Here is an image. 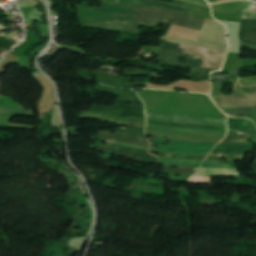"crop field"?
Listing matches in <instances>:
<instances>
[{
	"label": "crop field",
	"mask_w": 256,
	"mask_h": 256,
	"mask_svg": "<svg viewBox=\"0 0 256 256\" xmlns=\"http://www.w3.org/2000/svg\"><path fill=\"white\" fill-rule=\"evenodd\" d=\"M166 168H170V171H167ZM199 168H189V167H178V169H172V166L165 165V170L167 172H181V173H188V174H194L198 171Z\"/></svg>",
	"instance_id": "obj_17"
},
{
	"label": "crop field",
	"mask_w": 256,
	"mask_h": 256,
	"mask_svg": "<svg viewBox=\"0 0 256 256\" xmlns=\"http://www.w3.org/2000/svg\"><path fill=\"white\" fill-rule=\"evenodd\" d=\"M211 97L219 108L256 107V77L238 79L232 96Z\"/></svg>",
	"instance_id": "obj_3"
},
{
	"label": "crop field",
	"mask_w": 256,
	"mask_h": 256,
	"mask_svg": "<svg viewBox=\"0 0 256 256\" xmlns=\"http://www.w3.org/2000/svg\"><path fill=\"white\" fill-rule=\"evenodd\" d=\"M179 1H185V2H190V3L202 5V6H205V7H209L208 3L205 0H179Z\"/></svg>",
	"instance_id": "obj_20"
},
{
	"label": "crop field",
	"mask_w": 256,
	"mask_h": 256,
	"mask_svg": "<svg viewBox=\"0 0 256 256\" xmlns=\"http://www.w3.org/2000/svg\"><path fill=\"white\" fill-rule=\"evenodd\" d=\"M228 134H256V128L249 119H228Z\"/></svg>",
	"instance_id": "obj_7"
},
{
	"label": "crop field",
	"mask_w": 256,
	"mask_h": 256,
	"mask_svg": "<svg viewBox=\"0 0 256 256\" xmlns=\"http://www.w3.org/2000/svg\"><path fill=\"white\" fill-rule=\"evenodd\" d=\"M96 147H97L98 151L110 152L113 154L129 156V157L138 158V159H142V160H148V161H154V162L158 161V159L153 156L138 153V152H132V151H126V150H120V149H114V148H107V147H100V146H96Z\"/></svg>",
	"instance_id": "obj_12"
},
{
	"label": "crop field",
	"mask_w": 256,
	"mask_h": 256,
	"mask_svg": "<svg viewBox=\"0 0 256 256\" xmlns=\"http://www.w3.org/2000/svg\"><path fill=\"white\" fill-rule=\"evenodd\" d=\"M0 114H19L33 116L34 112L24 110L12 98L0 96Z\"/></svg>",
	"instance_id": "obj_9"
},
{
	"label": "crop field",
	"mask_w": 256,
	"mask_h": 256,
	"mask_svg": "<svg viewBox=\"0 0 256 256\" xmlns=\"http://www.w3.org/2000/svg\"><path fill=\"white\" fill-rule=\"evenodd\" d=\"M155 141L165 142L171 141V145L159 146V148L174 149L180 151H192V152H211L213 147L217 143H194V142H183V141H172L160 138H154Z\"/></svg>",
	"instance_id": "obj_6"
},
{
	"label": "crop field",
	"mask_w": 256,
	"mask_h": 256,
	"mask_svg": "<svg viewBox=\"0 0 256 256\" xmlns=\"http://www.w3.org/2000/svg\"><path fill=\"white\" fill-rule=\"evenodd\" d=\"M175 46L186 55L202 60V67L222 68L226 52L178 44ZM175 46L162 44L157 61L172 66L201 67L200 60L186 56ZM179 58H185L187 62L180 63Z\"/></svg>",
	"instance_id": "obj_2"
},
{
	"label": "crop field",
	"mask_w": 256,
	"mask_h": 256,
	"mask_svg": "<svg viewBox=\"0 0 256 256\" xmlns=\"http://www.w3.org/2000/svg\"><path fill=\"white\" fill-rule=\"evenodd\" d=\"M224 113L232 117H249L253 116L252 108H231L221 109Z\"/></svg>",
	"instance_id": "obj_15"
},
{
	"label": "crop field",
	"mask_w": 256,
	"mask_h": 256,
	"mask_svg": "<svg viewBox=\"0 0 256 256\" xmlns=\"http://www.w3.org/2000/svg\"><path fill=\"white\" fill-rule=\"evenodd\" d=\"M209 156H239V157H244V154L211 153Z\"/></svg>",
	"instance_id": "obj_21"
},
{
	"label": "crop field",
	"mask_w": 256,
	"mask_h": 256,
	"mask_svg": "<svg viewBox=\"0 0 256 256\" xmlns=\"http://www.w3.org/2000/svg\"><path fill=\"white\" fill-rule=\"evenodd\" d=\"M251 145H223L219 144L218 148L220 152H240L246 153Z\"/></svg>",
	"instance_id": "obj_16"
},
{
	"label": "crop field",
	"mask_w": 256,
	"mask_h": 256,
	"mask_svg": "<svg viewBox=\"0 0 256 256\" xmlns=\"http://www.w3.org/2000/svg\"><path fill=\"white\" fill-rule=\"evenodd\" d=\"M255 170H256V165H255Z\"/></svg>",
	"instance_id": "obj_24"
},
{
	"label": "crop field",
	"mask_w": 256,
	"mask_h": 256,
	"mask_svg": "<svg viewBox=\"0 0 256 256\" xmlns=\"http://www.w3.org/2000/svg\"><path fill=\"white\" fill-rule=\"evenodd\" d=\"M178 158H187V159H201L204 160L205 157H195V156H185V155H176Z\"/></svg>",
	"instance_id": "obj_22"
},
{
	"label": "crop field",
	"mask_w": 256,
	"mask_h": 256,
	"mask_svg": "<svg viewBox=\"0 0 256 256\" xmlns=\"http://www.w3.org/2000/svg\"><path fill=\"white\" fill-rule=\"evenodd\" d=\"M256 1V0H255Z\"/></svg>",
	"instance_id": "obj_25"
},
{
	"label": "crop field",
	"mask_w": 256,
	"mask_h": 256,
	"mask_svg": "<svg viewBox=\"0 0 256 256\" xmlns=\"http://www.w3.org/2000/svg\"><path fill=\"white\" fill-rule=\"evenodd\" d=\"M99 135L101 138H105V139L119 140V141L146 145V146L149 145L146 137H142L138 135H130V134H122V133H117L115 135L99 133Z\"/></svg>",
	"instance_id": "obj_11"
},
{
	"label": "crop field",
	"mask_w": 256,
	"mask_h": 256,
	"mask_svg": "<svg viewBox=\"0 0 256 256\" xmlns=\"http://www.w3.org/2000/svg\"><path fill=\"white\" fill-rule=\"evenodd\" d=\"M147 119L162 120L166 122L214 124L226 126L227 118H212L202 116L177 115L158 112H146Z\"/></svg>",
	"instance_id": "obj_4"
},
{
	"label": "crop field",
	"mask_w": 256,
	"mask_h": 256,
	"mask_svg": "<svg viewBox=\"0 0 256 256\" xmlns=\"http://www.w3.org/2000/svg\"><path fill=\"white\" fill-rule=\"evenodd\" d=\"M147 123L157 124V125H164V126H170V127L191 128V129L226 130V127H222V126L182 125V124H178V123H166V122L153 121V120H147Z\"/></svg>",
	"instance_id": "obj_13"
},
{
	"label": "crop field",
	"mask_w": 256,
	"mask_h": 256,
	"mask_svg": "<svg viewBox=\"0 0 256 256\" xmlns=\"http://www.w3.org/2000/svg\"><path fill=\"white\" fill-rule=\"evenodd\" d=\"M148 136H156L165 139L194 141V142H219L225 135H208V134H185L177 132H168L161 130L147 129Z\"/></svg>",
	"instance_id": "obj_5"
},
{
	"label": "crop field",
	"mask_w": 256,
	"mask_h": 256,
	"mask_svg": "<svg viewBox=\"0 0 256 256\" xmlns=\"http://www.w3.org/2000/svg\"><path fill=\"white\" fill-rule=\"evenodd\" d=\"M206 160H219L218 157H207Z\"/></svg>",
	"instance_id": "obj_23"
},
{
	"label": "crop field",
	"mask_w": 256,
	"mask_h": 256,
	"mask_svg": "<svg viewBox=\"0 0 256 256\" xmlns=\"http://www.w3.org/2000/svg\"><path fill=\"white\" fill-rule=\"evenodd\" d=\"M246 137L251 138L256 143V135H227L221 142L224 144H250Z\"/></svg>",
	"instance_id": "obj_14"
},
{
	"label": "crop field",
	"mask_w": 256,
	"mask_h": 256,
	"mask_svg": "<svg viewBox=\"0 0 256 256\" xmlns=\"http://www.w3.org/2000/svg\"><path fill=\"white\" fill-rule=\"evenodd\" d=\"M99 145H101V146H107V147H114V148L127 149V150H133V151H139V152H144V153L150 154L149 152H146V151H142V150H138V149H133V148H128V147H123V146H116V145H109V144H102V143H99Z\"/></svg>",
	"instance_id": "obj_19"
},
{
	"label": "crop field",
	"mask_w": 256,
	"mask_h": 256,
	"mask_svg": "<svg viewBox=\"0 0 256 256\" xmlns=\"http://www.w3.org/2000/svg\"><path fill=\"white\" fill-rule=\"evenodd\" d=\"M83 115H96V116H100V117H105V118H111V119H118V120H125V121H134V122H141L143 120H139V119H127V118H118V117H112V116H108L105 115L103 113H96V112H83Z\"/></svg>",
	"instance_id": "obj_18"
},
{
	"label": "crop field",
	"mask_w": 256,
	"mask_h": 256,
	"mask_svg": "<svg viewBox=\"0 0 256 256\" xmlns=\"http://www.w3.org/2000/svg\"><path fill=\"white\" fill-rule=\"evenodd\" d=\"M118 2L123 4H128V5H135V6L163 8V9L177 11L185 14H187L190 9L184 6H179L175 4H169V3L154 2L150 0H118Z\"/></svg>",
	"instance_id": "obj_8"
},
{
	"label": "crop field",
	"mask_w": 256,
	"mask_h": 256,
	"mask_svg": "<svg viewBox=\"0 0 256 256\" xmlns=\"http://www.w3.org/2000/svg\"><path fill=\"white\" fill-rule=\"evenodd\" d=\"M83 26L123 21L136 23L137 7L103 3V9L78 5ZM205 19L168 10L138 7L137 23L158 25L169 23L202 28Z\"/></svg>",
	"instance_id": "obj_1"
},
{
	"label": "crop field",
	"mask_w": 256,
	"mask_h": 256,
	"mask_svg": "<svg viewBox=\"0 0 256 256\" xmlns=\"http://www.w3.org/2000/svg\"><path fill=\"white\" fill-rule=\"evenodd\" d=\"M239 37L242 42L256 45V21L242 20Z\"/></svg>",
	"instance_id": "obj_10"
}]
</instances>
